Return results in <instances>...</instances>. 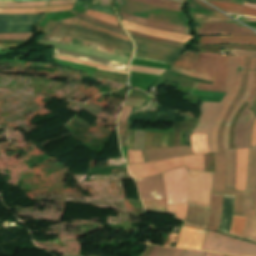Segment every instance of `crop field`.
Segmentation results:
<instances>
[{
  "label": "crop field",
  "mask_w": 256,
  "mask_h": 256,
  "mask_svg": "<svg viewBox=\"0 0 256 256\" xmlns=\"http://www.w3.org/2000/svg\"><path fill=\"white\" fill-rule=\"evenodd\" d=\"M203 254H204V252H202V251L185 249L184 256H203Z\"/></svg>",
  "instance_id": "obj_51"
},
{
  "label": "crop field",
  "mask_w": 256,
  "mask_h": 256,
  "mask_svg": "<svg viewBox=\"0 0 256 256\" xmlns=\"http://www.w3.org/2000/svg\"><path fill=\"white\" fill-rule=\"evenodd\" d=\"M255 64H256V58H252L250 63V69L255 70Z\"/></svg>",
  "instance_id": "obj_58"
},
{
  "label": "crop field",
  "mask_w": 256,
  "mask_h": 256,
  "mask_svg": "<svg viewBox=\"0 0 256 256\" xmlns=\"http://www.w3.org/2000/svg\"><path fill=\"white\" fill-rule=\"evenodd\" d=\"M253 117L254 114L249 109H245L239 118L235 134V148H250V127Z\"/></svg>",
  "instance_id": "obj_15"
},
{
  "label": "crop field",
  "mask_w": 256,
  "mask_h": 256,
  "mask_svg": "<svg viewBox=\"0 0 256 256\" xmlns=\"http://www.w3.org/2000/svg\"><path fill=\"white\" fill-rule=\"evenodd\" d=\"M256 100V93L254 94L253 98L251 99L250 103L247 105L246 108H250V106L253 104V102Z\"/></svg>",
  "instance_id": "obj_59"
},
{
  "label": "crop field",
  "mask_w": 256,
  "mask_h": 256,
  "mask_svg": "<svg viewBox=\"0 0 256 256\" xmlns=\"http://www.w3.org/2000/svg\"><path fill=\"white\" fill-rule=\"evenodd\" d=\"M31 37H32V33L0 34V40H28Z\"/></svg>",
  "instance_id": "obj_44"
},
{
  "label": "crop field",
  "mask_w": 256,
  "mask_h": 256,
  "mask_svg": "<svg viewBox=\"0 0 256 256\" xmlns=\"http://www.w3.org/2000/svg\"><path fill=\"white\" fill-rule=\"evenodd\" d=\"M73 7L74 5L20 8V9H0V14H48V13L72 10Z\"/></svg>",
  "instance_id": "obj_23"
},
{
  "label": "crop field",
  "mask_w": 256,
  "mask_h": 256,
  "mask_svg": "<svg viewBox=\"0 0 256 256\" xmlns=\"http://www.w3.org/2000/svg\"><path fill=\"white\" fill-rule=\"evenodd\" d=\"M244 6H248V7H251V8H256V5L250 4V3H247V2L244 3Z\"/></svg>",
  "instance_id": "obj_60"
},
{
  "label": "crop field",
  "mask_w": 256,
  "mask_h": 256,
  "mask_svg": "<svg viewBox=\"0 0 256 256\" xmlns=\"http://www.w3.org/2000/svg\"><path fill=\"white\" fill-rule=\"evenodd\" d=\"M207 2L217 6L218 8L226 11L227 13L256 16V9L247 8V7L229 3V2H215V1H207Z\"/></svg>",
  "instance_id": "obj_31"
},
{
  "label": "crop field",
  "mask_w": 256,
  "mask_h": 256,
  "mask_svg": "<svg viewBox=\"0 0 256 256\" xmlns=\"http://www.w3.org/2000/svg\"><path fill=\"white\" fill-rule=\"evenodd\" d=\"M49 35L85 40L125 52H133L132 43L108 34L57 22Z\"/></svg>",
  "instance_id": "obj_3"
},
{
  "label": "crop field",
  "mask_w": 256,
  "mask_h": 256,
  "mask_svg": "<svg viewBox=\"0 0 256 256\" xmlns=\"http://www.w3.org/2000/svg\"><path fill=\"white\" fill-rule=\"evenodd\" d=\"M52 57L53 58H57V59H62V60H67V61H72V62H77V63H81V64L93 66V67H97V68L103 69V70H108V71H114V72H120V73L128 74V72H126V71L117 70V69H113V68H109V67H104V66H100V65H96V64H92V63L76 60V59H71V58H66V57H61V56H55V55H52Z\"/></svg>",
  "instance_id": "obj_43"
},
{
  "label": "crop field",
  "mask_w": 256,
  "mask_h": 256,
  "mask_svg": "<svg viewBox=\"0 0 256 256\" xmlns=\"http://www.w3.org/2000/svg\"><path fill=\"white\" fill-rule=\"evenodd\" d=\"M222 199L223 195L211 194V212L207 225L208 229L216 231L218 229L222 209Z\"/></svg>",
  "instance_id": "obj_27"
},
{
  "label": "crop field",
  "mask_w": 256,
  "mask_h": 256,
  "mask_svg": "<svg viewBox=\"0 0 256 256\" xmlns=\"http://www.w3.org/2000/svg\"><path fill=\"white\" fill-rule=\"evenodd\" d=\"M187 165L188 169L204 171L203 154L184 156L176 159L142 163L128 166L134 180L156 175L160 172Z\"/></svg>",
  "instance_id": "obj_4"
},
{
  "label": "crop field",
  "mask_w": 256,
  "mask_h": 256,
  "mask_svg": "<svg viewBox=\"0 0 256 256\" xmlns=\"http://www.w3.org/2000/svg\"><path fill=\"white\" fill-rule=\"evenodd\" d=\"M122 22L125 28L145 34V35H149V36H154V37L168 39V40L182 42V43H185L187 40L193 38L191 36H187L183 34H175V33L167 32L163 30L147 28V27L140 26L134 23L123 21V20Z\"/></svg>",
  "instance_id": "obj_16"
},
{
  "label": "crop field",
  "mask_w": 256,
  "mask_h": 256,
  "mask_svg": "<svg viewBox=\"0 0 256 256\" xmlns=\"http://www.w3.org/2000/svg\"><path fill=\"white\" fill-rule=\"evenodd\" d=\"M193 54L194 52L186 51L172 65L190 70ZM227 61L228 56L219 55V53L195 52L191 71L214 76V81L213 85L195 82L192 89L226 93Z\"/></svg>",
  "instance_id": "obj_2"
},
{
  "label": "crop field",
  "mask_w": 256,
  "mask_h": 256,
  "mask_svg": "<svg viewBox=\"0 0 256 256\" xmlns=\"http://www.w3.org/2000/svg\"><path fill=\"white\" fill-rule=\"evenodd\" d=\"M243 215L247 219L242 237L256 241V210H252L251 191L244 192Z\"/></svg>",
  "instance_id": "obj_19"
},
{
  "label": "crop field",
  "mask_w": 256,
  "mask_h": 256,
  "mask_svg": "<svg viewBox=\"0 0 256 256\" xmlns=\"http://www.w3.org/2000/svg\"><path fill=\"white\" fill-rule=\"evenodd\" d=\"M53 54L66 56V57H71V58H76V59H81V60H85V61H89V62H93V63H97V64L109 66V67H114V68H120V69L127 70V65H125V64L110 62V61H106V60H102V59H99V58H95V57H91V56H87V55H82V54H78V53H74V52H70V51L59 50V49L54 48Z\"/></svg>",
  "instance_id": "obj_26"
},
{
  "label": "crop field",
  "mask_w": 256,
  "mask_h": 256,
  "mask_svg": "<svg viewBox=\"0 0 256 256\" xmlns=\"http://www.w3.org/2000/svg\"><path fill=\"white\" fill-rule=\"evenodd\" d=\"M132 107L124 106L123 111L118 119V131L120 136L121 146H127V137L129 132L130 122H126Z\"/></svg>",
  "instance_id": "obj_34"
},
{
  "label": "crop field",
  "mask_w": 256,
  "mask_h": 256,
  "mask_svg": "<svg viewBox=\"0 0 256 256\" xmlns=\"http://www.w3.org/2000/svg\"><path fill=\"white\" fill-rule=\"evenodd\" d=\"M254 77H255V71H250L249 73V78H248V84H247V89H246V93L244 94V96L241 98V100L236 104V106L233 108L226 124H225V128H224V135H223V144H224V149H228V133H229V126H230V122L231 119L234 115V113L238 110V108L244 103L245 99L247 98V96L249 95L252 85H253V81H254Z\"/></svg>",
  "instance_id": "obj_29"
},
{
  "label": "crop field",
  "mask_w": 256,
  "mask_h": 256,
  "mask_svg": "<svg viewBox=\"0 0 256 256\" xmlns=\"http://www.w3.org/2000/svg\"><path fill=\"white\" fill-rule=\"evenodd\" d=\"M195 25L197 35H255L247 28L236 22L223 23H192Z\"/></svg>",
  "instance_id": "obj_14"
},
{
  "label": "crop field",
  "mask_w": 256,
  "mask_h": 256,
  "mask_svg": "<svg viewBox=\"0 0 256 256\" xmlns=\"http://www.w3.org/2000/svg\"><path fill=\"white\" fill-rule=\"evenodd\" d=\"M248 73L249 71H244V74H243V79H242V85H241V89L238 93V95L236 96V98L234 99V101L231 103L227 113H226V116L219 128V132H218V143H219V150H220V153H223V144H222V134H223V127H224V124L232 110V108L234 107V105L237 103V101L240 99V97L244 94L245 92V89H246V84H247V78H248Z\"/></svg>",
  "instance_id": "obj_35"
},
{
  "label": "crop field",
  "mask_w": 256,
  "mask_h": 256,
  "mask_svg": "<svg viewBox=\"0 0 256 256\" xmlns=\"http://www.w3.org/2000/svg\"><path fill=\"white\" fill-rule=\"evenodd\" d=\"M238 19L241 21H256V18H250V17H239Z\"/></svg>",
  "instance_id": "obj_57"
},
{
  "label": "crop field",
  "mask_w": 256,
  "mask_h": 256,
  "mask_svg": "<svg viewBox=\"0 0 256 256\" xmlns=\"http://www.w3.org/2000/svg\"><path fill=\"white\" fill-rule=\"evenodd\" d=\"M225 254L205 252L204 256H224Z\"/></svg>",
  "instance_id": "obj_56"
},
{
  "label": "crop field",
  "mask_w": 256,
  "mask_h": 256,
  "mask_svg": "<svg viewBox=\"0 0 256 256\" xmlns=\"http://www.w3.org/2000/svg\"><path fill=\"white\" fill-rule=\"evenodd\" d=\"M201 249L233 255L256 256V244L239 241L209 230Z\"/></svg>",
  "instance_id": "obj_6"
},
{
  "label": "crop field",
  "mask_w": 256,
  "mask_h": 256,
  "mask_svg": "<svg viewBox=\"0 0 256 256\" xmlns=\"http://www.w3.org/2000/svg\"><path fill=\"white\" fill-rule=\"evenodd\" d=\"M43 15H0V33L32 32Z\"/></svg>",
  "instance_id": "obj_12"
},
{
  "label": "crop field",
  "mask_w": 256,
  "mask_h": 256,
  "mask_svg": "<svg viewBox=\"0 0 256 256\" xmlns=\"http://www.w3.org/2000/svg\"><path fill=\"white\" fill-rule=\"evenodd\" d=\"M189 14L193 21H200V22L233 21L230 18L226 17L225 15L217 12L189 9Z\"/></svg>",
  "instance_id": "obj_28"
},
{
  "label": "crop field",
  "mask_w": 256,
  "mask_h": 256,
  "mask_svg": "<svg viewBox=\"0 0 256 256\" xmlns=\"http://www.w3.org/2000/svg\"><path fill=\"white\" fill-rule=\"evenodd\" d=\"M139 2H143L150 5H155L159 7L169 8L173 10H181V7L183 4L180 3H174V2H168V1H162V0H135Z\"/></svg>",
  "instance_id": "obj_40"
},
{
  "label": "crop field",
  "mask_w": 256,
  "mask_h": 256,
  "mask_svg": "<svg viewBox=\"0 0 256 256\" xmlns=\"http://www.w3.org/2000/svg\"><path fill=\"white\" fill-rule=\"evenodd\" d=\"M120 15L123 20L134 22V23L144 25L147 27L158 28V29L175 32V33H183V34L188 35L189 28H186V27H180V26L165 24V23H161V22L146 20V19L138 18V17L132 16L129 14H125V13H120Z\"/></svg>",
  "instance_id": "obj_20"
},
{
  "label": "crop field",
  "mask_w": 256,
  "mask_h": 256,
  "mask_svg": "<svg viewBox=\"0 0 256 256\" xmlns=\"http://www.w3.org/2000/svg\"><path fill=\"white\" fill-rule=\"evenodd\" d=\"M60 22L69 23V24H74V25H78V26H82V27H86V28H90V29L102 31V32H105V33H108V34L117 36V37H119V38H122V39H124V40H129L128 38H126V37H124V36L118 35V34L113 33V32H111V31H107V30L101 29V28H99V27L90 25V24H88V23L79 21V20L74 19V18L67 19V20H62V21H60Z\"/></svg>",
  "instance_id": "obj_39"
},
{
  "label": "crop field",
  "mask_w": 256,
  "mask_h": 256,
  "mask_svg": "<svg viewBox=\"0 0 256 256\" xmlns=\"http://www.w3.org/2000/svg\"><path fill=\"white\" fill-rule=\"evenodd\" d=\"M233 200L234 196H224L223 216L219 229L227 233L229 232L231 224Z\"/></svg>",
  "instance_id": "obj_36"
},
{
  "label": "crop field",
  "mask_w": 256,
  "mask_h": 256,
  "mask_svg": "<svg viewBox=\"0 0 256 256\" xmlns=\"http://www.w3.org/2000/svg\"><path fill=\"white\" fill-rule=\"evenodd\" d=\"M77 1L91 3V0H77Z\"/></svg>",
  "instance_id": "obj_62"
},
{
  "label": "crop field",
  "mask_w": 256,
  "mask_h": 256,
  "mask_svg": "<svg viewBox=\"0 0 256 256\" xmlns=\"http://www.w3.org/2000/svg\"><path fill=\"white\" fill-rule=\"evenodd\" d=\"M170 70L175 71V72H179V73H183V74H186V75H189V76L201 78V79H204V80H207V81H212V79H213V77H211V76H205V75L197 74V73L190 72V71H187V70H184V69H180V68H177V67H174V66H171Z\"/></svg>",
  "instance_id": "obj_46"
},
{
  "label": "crop field",
  "mask_w": 256,
  "mask_h": 256,
  "mask_svg": "<svg viewBox=\"0 0 256 256\" xmlns=\"http://www.w3.org/2000/svg\"><path fill=\"white\" fill-rule=\"evenodd\" d=\"M146 162L192 154L190 146H176L155 150H143Z\"/></svg>",
  "instance_id": "obj_17"
},
{
  "label": "crop field",
  "mask_w": 256,
  "mask_h": 256,
  "mask_svg": "<svg viewBox=\"0 0 256 256\" xmlns=\"http://www.w3.org/2000/svg\"><path fill=\"white\" fill-rule=\"evenodd\" d=\"M171 1H176V2L185 3V0H171Z\"/></svg>",
  "instance_id": "obj_63"
},
{
  "label": "crop field",
  "mask_w": 256,
  "mask_h": 256,
  "mask_svg": "<svg viewBox=\"0 0 256 256\" xmlns=\"http://www.w3.org/2000/svg\"><path fill=\"white\" fill-rule=\"evenodd\" d=\"M127 31L130 34H134V35H137V36H141V37H144V38H148V39H152V40H156V41H160V42H164V43H168V44H172V45H176V46H181L182 47V45H183V44L177 43V42H172V41H167V40H163V39H158V38H153V37L145 36V35H142V34H139V33L133 32V31H130V30H127Z\"/></svg>",
  "instance_id": "obj_49"
},
{
  "label": "crop field",
  "mask_w": 256,
  "mask_h": 256,
  "mask_svg": "<svg viewBox=\"0 0 256 256\" xmlns=\"http://www.w3.org/2000/svg\"><path fill=\"white\" fill-rule=\"evenodd\" d=\"M79 16H82V17H84V18H87V19L96 21V22H98V23L104 24V25H106V26H109V27H112V28H115V29L123 30L122 28L109 25V24H107V23H104V22H102V21H99V20H97V19H95V18H93V17H90V16H86V15H82V14H80Z\"/></svg>",
  "instance_id": "obj_53"
},
{
  "label": "crop field",
  "mask_w": 256,
  "mask_h": 256,
  "mask_svg": "<svg viewBox=\"0 0 256 256\" xmlns=\"http://www.w3.org/2000/svg\"><path fill=\"white\" fill-rule=\"evenodd\" d=\"M255 90H256V78H255V82H254V85H253L252 91H251V93H250L249 97H248V98H247V100H246L247 102H249V101H250V99L252 98V96H253V94H254Z\"/></svg>",
  "instance_id": "obj_55"
},
{
  "label": "crop field",
  "mask_w": 256,
  "mask_h": 256,
  "mask_svg": "<svg viewBox=\"0 0 256 256\" xmlns=\"http://www.w3.org/2000/svg\"><path fill=\"white\" fill-rule=\"evenodd\" d=\"M188 7L216 11V10L212 9L211 7H209L208 5H206L205 3H203L199 0H191Z\"/></svg>",
  "instance_id": "obj_48"
},
{
  "label": "crop field",
  "mask_w": 256,
  "mask_h": 256,
  "mask_svg": "<svg viewBox=\"0 0 256 256\" xmlns=\"http://www.w3.org/2000/svg\"><path fill=\"white\" fill-rule=\"evenodd\" d=\"M70 12H73V13H75V14H77V13H78V12H74V11H70ZM73 13H72V14H73Z\"/></svg>",
  "instance_id": "obj_65"
},
{
  "label": "crop field",
  "mask_w": 256,
  "mask_h": 256,
  "mask_svg": "<svg viewBox=\"0 0 256 256\" xmlns=\"http://www.w3.org/2000/svg\"><path fill=\"white\" fill-rule=\"evenodd\" d=\"M226 256H229V255H226Z\"/></svg>",
  "instance_id": "obj_66"
},
{
  "label": "crop field",
  "mask_w": 256,
  "mask_h": 256,
  "mask_svg": "<svg viewBox=\"0 0 256 256\" xmlns=\"http://www.w3.org/2000/svg\"><path fill=\"white\" fill-rule=\"evenodd\" d=\"M168 133L146 132L144 149L167 147Z\"/></svg>",
  "instance_id": "obj_33"
},
{
  "label": "crop field",
  "mask_w": 256,
  "mask_h": 256,
  "mask_svg": "<svg viewBox=\"0 0 256 256\" xmlns=\"http://www.w3.org/2000/svg\"><path fill=\"white\" fill-rule=\"evenodd\" d=\"M251 143L252 146L256 145V117L252 128Z\"/></svg>",
  "instance_id": "obj_52"
},
{
  "label": "crop field",
  "mask_w": 256,
  "mask_h": 256,
  "mask_svg": "<svg viewBox=\"0 0 256 256\" xmlns=\"http://www.w3.org/2000/svg\"><path fill=\"white\" fill-rule=\"evenodd\" d=\"M136 44L137 56L157 59L171 63L176 57H178L185 48H180L172 45H167L159 42L145 40L133 35H130Z\"/></svg>",
  "instance_id": "obj_9"
},
{
  "label": "crop field",
  "mask_w": 256,
  "mask_h": 256,
  "mask_svg": "<svg viewBox=\"0 0 256 256\" xmlns=\"http://www.w3.org/2000/svg\"><path fill=\"white\" fill-rule=\"evenodd\" d=\"M245 218L233 215L230 234L242 236Z\"/></svg>",
  "instance_id": "obj_41"
},
{
  "label": "crop field",
  "mask_w": 256,
  "mask_h": 256,
  "mask_svg": "<svg viewBox=\"0 0 256 256\" xmlns=\"http://www.w3.org/2000/svg\"><path fill=\"white\" fill-rule=\"evenodd\" d=\"M226 76V96L220 103L203 102L199 123L192 133H207V145L210 152H219L217 144V131L224 115L237 95L243 74L246 57H256V52L231 50Z\"/></svg>",
  "instance_id": "obj_1"
},
{
  "label": "crop field",
  "mask_w": 256,
  "mask_h": 256,
  "mask_svg": "<svg viewBox=\"0 0 256 256\" xmlns=\"http://www.w3.org/2000/svg\"><path fill=\"white\" fill-rule=\"evenodd\" d=\"M198 43H202V44L240 43V44L256 45V36H201Z\"/></svg>",
  "instance_id": "obj_21"
},
{
  "label": "crop field",
  "mask_w": 256,
  "mask_h": 256,
  "mask_svg": "<svg viewBox=\"0 0 256 256\" xmlns=\"http://www.w3.org/2000/svg\"><path fill=\"white\" fill-rule=\"evenodd\" d=\"M246 190H252L254 209L256 208V146L249 149Z\"/></svg>",
  "instance_id": "obj_25"
},
{
  "label": "crop field",
  "mask_w": 256,
  "mask_h": 256,
  "mask_svg": "<svg viewBox=\"0 0 256 256\" xmlns=\"http://www.w3.org/2000/svg\"><path fill=\"white\" fill-rule=\"evenodd\" d=\"M186 206L187 204L167 205L169 213L175 214V218L181 220L185 218ZM209 211V209L188 204L185 222L193 226L206 227Z\"/></svg>",
  "instance_id": "obj_13"
},
{
  "label": "crop field",
  "mask_w": 256,
  "mask_h": 256,
  "mask_svg": "<svg viewBox=\"0 0 256 256\" xmlns=\"http://www.w3.org/2000/svg\"><path fill=\"white\" fill-rule=\"evenodd\" d=\"M116 6L118 11L138 17L189 27V21L178 11L148 6L130 0H123V5Z\"/></svg>",
  "instance_id": "obj_5"
},
{
  "label": "crop field",
  "mask_w": 256,
  "mask_h": 256,
  "mask_svg": "<svg viewBox=\"0 0 256 256\" xmlns=\"http://www.w3.org/2000/svg\"><path fill=\"white\" fill-rule=\"evenodd\" d=\"M94 5H99V6H111L110 0H99L97 1L96 4Z\"/></svg>",
  "instance_id": "obj_54"
},
{
  "label": "crop field",
  "mask_w": 256,
  "mask_h": 256,
  "mask_svg": "<svg viewBox=\"0 0 256 256\" xmlns=\"http://www.w3.org/2000/svg\"><path fill=\"white\" fill-rule=\"evenodd\" d=\"M184 249L154 246L149 256H183Z\"/></svg>",
  "instance_id": "obj_38"
},
{
  "label": "crop field",
  "mask_w": 256,
  "mask_h": 256,
  "mask_svg": "<svg viewBox=\"0 0 256 256\" xmlns=\"http://www.w3.org/2000/svg\"><path fill=\"white\" fill-rule=\"evenodd\" d=\"M142 200L165 198L162 174L135 181ZM146 211L168 213L165 199L143 201Z\"/></svg>",
  "instance_id": "obj_7"
},
{
  "label": "crop field",
  "mask_w": 256,
  "mask_h": 256,
  "mask_svg": "<svg viewBox=\"0 0 256 256\" xmlns=\"http://www.w3.org/2000/svg\"><path fill=\"white\" fill-rule=\"evenodd\" d=\"M42 39L43 40H49V41H55V42H61V43L80 45V46L88 47V48H91V49H95V50H98V51H102V52H106V53H110V54H115V55H121V56H127V57L131 56L130 53L116 51V50L109 49V48H106V47H103V46H100V45H96V44H93V43L84 42V41H80V40L67 39V38H61V37H55V36H49V35L44 36Z\"/></svg>",
  "instance_id": "obj_24"
},
{
  "label": "crop field",
  "mask_w": 256,
  "mask_h": 256,
  "mask_svg": "<svg viewBox=\"0 0 256 256\" xmlns=\"http://www.w3.org/2000/svg\"><path fill=\"white\" fill-rule=\"evenodd\" d=\"M188 203L210 209V190L213 173L188 170Z\"/></svg>",
  "instance_id": "obj_8"
},
{
  "label": "crop field",
  "mask_w": 256,
  "mask_h": 256,
  "mask_svg": "<svg viewBox=\"0 0 256 256\" xmlns=\"http://www.w3.org/2000/svg\"><path fill=\"white\" fill-rule=\"evenodd\" d=\"M144 135H145V132L136 131L135 139H134V145H133L134 150L143 149Z\"/></svg>",
  "instance_id": "obj_47"
},
{
  "label": "crop field",
  "mask_w": 256,
  "mask_h": 256,
  "mask_svg": "<svg viewBox=\"0 0 256 256\" xmlns=\"http://www.w3.org/2000/svg\"><path fill=\"white\" fill-rule=\"evenodd\" d=\"M249 2H253V3H256V0H247Z\"/></svg>",
  "instance_id": "obj_64"
},
{
  "label": "crop field",
  "mask_w": 256,
  "mask_h": 256,
  "mask_svg": "<svg viewBox=\"0 0 256 256\" xmlns=\"http://www.w3.org/2000/svg\"><path fill=\"white\" fill-rule=\"evenodd\" d=\"M224 153H226V188L234 189L236 153L235 150H224Z\"/></svg>",
  "instance_id": "obj_32"
},
{
  "label": "crop field",
  "mask_w": 256,
  "mask_h": 256,
  "mask_svg": "<svg viewBox=\"0 0 256 256\" xmlns=\"http://www.w3.org/2000/svg\"><path fill=\"white\" fill-rule=\"evenodd\" d=\"M191 148L194 154L207 153L206 134H191Z\"/></svg>",
  "instance_id": "obj_37"
},
{
  "label": "crop field",
  "mask_w": 256,
  "mask_h": 256,
  "mask_svg": "<svg viewBox=\"0 0 256 256\" xmlns=\"http://www.w3.org/2000/svg\"><path fill=\"white\" fill-rule=\"evenodd\" d=\"M225 179V154L215 153V175L212 192L235 195L233 214L242 215L243 192L224 189Z\"/></svg>",
  "instance_id": "obj_11"
},
{
  "label": "crop field",
  "mask_w": 256,
  "mask_h": 256,
  "mask_svg": "<svg viewBox=\"0 0 256 256\" xmlns=\"http://www.w3.org/2000/svg\"><path fill=\"white\" fill-rule=\"evenodd\" d=\"M167 204L187 202L186 166L163 173Z\"/></svg>",
  "instance_id": "obj_10"
},
{
  "label": "crop field",
  "mask_w": 256,
  "mask_h": 256,
  "mask_svg": "<svg viewBox=\"0 0 256 256\" xmlns=\"http://www.w3.org/2000/svg\"><path fill=\"white\" fill-rule=\"evenodd\" d=\"M75 0H54V1H38V2H0V7L19 8V7H35L50 6L62 4H74Z\"/></svg>",
  "instance_id": "obj_30"
},
{
  "label": "crop field",
  "mask_w": 256,
  "mask_h": 256,
  "mask_svg": "<svg viewBox=\"0 0 256 256\" xmlns=\"http://www.w3.org/2000/svg\"><path fill=\"white\" fill-rule=\"evenodd\" d=\"M205 231L182 226L176 247L200 249Z\"/></svg>",
  "instance_id": "obj_18"
},
{
  "label": "crop field",
  "mask_w": 256,
  "mask_h": 256,
  "mask_svg": "<svg viewBox=\"0 0 256 256\" xmlns=\"http://www.w3.org/2000/svg\"><path fill=\"white\" fill-rule=\"evenodd\" d=\"M248 149H237L236 189L245 191Z\"/></svg>",
  "instance_id": "obj_22"
},
{
  "label": "crop field",
  "mask_w": 256,
  "mask_h": 256,
  "mask_svg": "<svg viewBox=\"0 0 256 256\" xmlns=\"http://www.w3.org/2000/svg\"><path fill=\"white\" fill-rule=\"evenodd\" d=\"M75 18L80 19V20L85 21V22H88V23H90V24H93V25L99 26V27L104 28V29H108V30H111V31H114V32H117V33H120V34H123V35H126V34H125V33H123V32H120V31H117V30L111 29V28H109V27H106V26L100 25V24L95 23V22L90 21V20L83 19V18H81V17H79V16H76Z\"/></svg>",
  "instance_id": "obj_50"
},
{
  "label": "crop field",
  "mask_w": 256,
  "mask_h": 256,
  "mask_svg": "<svg viewBox=\"0 0 256 256\" xmlns=\"http://www.w3.org/2000/svg\"><path fill=\"white\" fill-rule=\"evenodd\" d=\"M144 162L141 151L128 150V164Z\"/></svg>",
  "instance_id": "obj_45"
},
{
  "label": "crop field",
  "mask_w": 256,
  "mask_h": 256,
  "mask_svg": "<svg viewBox=\"0 0 256 256\" xmlns=\"http://www.w3.org/2000/svg\"><path fill=\"white\" fill-rule=\"evenodd\" d=\"M82 14H86V15H90L93 16L99 20L105 21V22H109L112 24H115L117 26H119L116 18L114 16H110V15H106L103 13H99V12H94V11H90V10H85Z\"/></svg>",
  "instance_id": "obj_42"
},
{
  "label": "crop field",
  "mask_w": 256,
  "mask_h": 256,
  "mask_svg": "<svg viewBox=\"0 0 256 256\" xmlns=\"http://www.w3.org/2000/svg\"><path fill=\"white\" fill-rule=\"evenodd\" d=\"M249 62H250V58H247L246 64H245V69H248V68H249Z\"/></svg>",
  "instance_id": "obj_61"
}]
</instances>
